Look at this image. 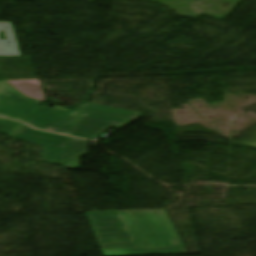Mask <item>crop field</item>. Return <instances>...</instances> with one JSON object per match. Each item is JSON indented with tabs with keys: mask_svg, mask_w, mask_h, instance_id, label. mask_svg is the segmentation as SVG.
Masks as SVG:
<instances>
[{
	"mask_svg": "<svg viewBox=\"0 0 256 256\" xmlns=\"http://www.w3.org/2000/svg\"><path fill=\"white\" fill-rule=\"evenodd\" d=\"M87 214L105 256L186 253L165 210Z\"/></svg>",
	"mask_w": 256,
	"mask_h": 256,
	"instance_id": "8a807250",
	"label": "crop field"
},
{
	"mask_svg": "<svg viewBox=\"0 0 256 256\" xmlns=\"http://www.w3.org/2000/svg\"><path fill=\"white\" fill-rule=\"evenodd\" d=\"M129 123H131V121L73 111L43 128V130L90 139L111 126L120 129Z\"/></svg>",
	"mask_w": 256,
	"mask_h": 256,
	"instance_id": "ac0d7876",
	"label": "crop field"
},
{
	"mask_svg": "<svg viewBox=\"0 0 256 256\" xmlns=\"http://www.w3.org/2000/svg\"><path fill=\"white\" fill-rule=\"evenodd\" d=\"M11 138L44 145L42 161L61 165L64 163L68 140L66 137L42 133L23 124Z\"/></svg>",
	"mask_w": 256,
	"mask_h": 256,
	"instance_id": "34b2d1b8",
	"label": "crop field"
},
{
	"mask_svg": "<svg viewBox=\"0 0 256 256\" xmlns=\"http://www.w3.org/2000/svg\"><path fill=\"white\" fill-rule=\"evenodd\" d=\"M41 102L23 97L5 82H0V116L26 121Z\"/></svg>",
	"mask_w": 256,
	"mask_h": 256,
	"instance_id": "412701ff",
	"label": "crop field"
},
{
	"mask_svg": "<svg viewBox=\"0 0 256 256\" xmlns=\"http://www.w3.org/2000/svg\"><path fill=\"white\" fill-rule=\"evenodd\" d=\"M76 110L84 113H90L95 115H101V116H107V117H113V118H119V119L131 120V121H134L143 115V113L123 110V109H118L113 107L89 104V103L83 104Z\"/></svg>",
	"mask_w": 256,
	"mask_h": 256,
	"instance_id": "f4fd0767",
	"label": "crop field"
},
{
	"mask_svg": "<svg viewBox=\"0 0 256 256\" xmlns=\"http://www.w3.org/2000/svg\"><path fill=\"white\" fill-rule=\"evenodd\" d=\"M69 111L57 106L53 109L39 106L25 123L40 129Z\"/></svg>",
	"mask_w": 256,
	"mask_h": 256,
	"instance_id": "dd49c442",
	"label": "crop field"
},
{
	"mask_svg": "<svg viewBox=\"0 0 256 256\" xmlns=\"http://www.w3.org/2000/svg\"><path fill=\"white\" fill-rule=\"evenodd\" d=\"M87 145V141L70 137L65 167L78 168L79 157L86 154Z\"/></svg>",
	"mask_w": 256,
	"mask_h": 256,
	"instance_id": "e52e79f7",
	"label": "crop field"
},
{
	"mask_svg": "<svg viewBox=\"0 0 256 256\" xmlns=\"http://www.w3.org/2000/svg\"><path fill=\"white\" fill-rule=\"evenodd\" d=\"M29 98L44 100L42 87L38 80L7 81Z\"/></svg>",
	"mask_w": 256,
	"mask_h": 256,
	"instance_id": "d8731c3e",
	"label": "crop field"
},
{
	"mask_svg": "<svg viewBox=\"0 0 256 256\" xmlns=\"http://www.w3.org/2000/svg\"><path fill=\"white\" fill-rule=\"evenodd\" d=\"M22 123L0 118V132L10 134L12 135L14 132H16Z\"/></svg>",
	"mask_w": 256,
	"mask_h": 256,
	"instance_id": "5a996713",
	"label": "crop field"
},
{
	"mask_svg": "<svg viewBox=\"0 0 256 256\" xmlns=\"http://www.w3.org/2000/svg\"><path fill=\"white\" fill-rule=\"evenodd\" d=\"M0 28H14L12 23L0 22Z\"/></svg>",
	"mask_w": 256,
	"mask_h": 256,
	"instance_id": "3316defc",
	"label": "crop field"
}]
</instances>
